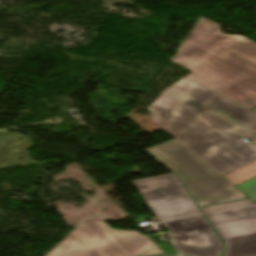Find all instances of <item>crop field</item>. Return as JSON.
I'll list each match as a JSON object with an SVG mask.
<instances>
[{
	"label": "crop field",
	"instance_id": "8a807250",
	"mask_svg": "<svg viewBox=\"0 0 256 256\" xmlns=\"http://www.w3.org/2000/svg\"><path fill=\"white\" fill-rule=\"evenodd\" d=\"M147 109L148 118L221 176L256 159V145L236 137L256 143V114L185 77Z\"/></svg>",
	"mask_w": 256,
	"mask_h": 256
},
{
	"label": "crop field",
	"instance_id": "ac0d7876",
	"mask_svg": "<svg viewBox=\"0 0 256 256\" xmlns=\"http://www.w3.org/2000/svg\"><path fill=\"white\" fill-rule=\"evenodd\" d=\"M171 61L193 71L185 77L249 108L256 107V43L223 35L200 17Z\"/></svg>",
	"mask_w": 256,
	"mask_h": 256
},
{
	"label": "crop field",
	"instance_id": "34b2d1b8",
	"mask_svg": "<svg viewBox=\"0 0 256 256\" xmlns=\"http://www.w3.org/2000/svg\"><path fill=\"white\" fill-rule=\"evenodd\" d=\"M146 151L181 178L198 206L246 197L175 140Z\"/></svg>",
	"mask_w": 256,
	"mask_h": 256
},
{
	"label": "crop field",
	"instance_id": "412701ff",
	"mask_svg": "<svg viewBox=\"0 0 256 256\" xmlns=\"http://www.w3.org/2000/svg\"><path fill=\"white\" fill-rule=\"evenodd\" d=\"M203 209L226 243L223 256H256V203L246 199Z\"/></svg>",
	"mask_w": 256,
	"mask_h": 256
},
{
	"label": "crop field",
	"instance_id": "f4fd0767",
	"mask_svg": "<svg viewBox=\"0 0 256 256\" xmlns=\"http://www.w3.org/2000/svg\"><path fill=\"white\" fill-rule=\"evenodd\" d=\"M133 182L159 221L201 213L173 173Z\"/></svg>",
	"mask_w": 256,
	"mask_h": 256
},
{
	"label": "crop field",
	"instance_id": "dd49c442",
	"mask_svg": "<svg viewBox=\"0 0 256 256\" xmlns=\"http://www.w3.org/2000/svg\"><path fill=\"white\" fill-rule=\"evenodd\" d=\"M105 223V222H104ZM102 221L75 226L102 256H140L164 253L148 235L110 229Z\"/></svg>",
	"mask_w": 256,
	"mask_h": 256
},
{
	"label": "crop field",
	"instance_id": "e52e79f7",
	"mask_svg": "<svg viewBox=\"0 0 256 256\" xmlns=\"http://www.w3.org/2000/svg\"><path fill=\"white\" fill-rule=\"evenodd\" d=\"M169 242L185 256H220L223 244L203 215L163 223Z\"/></svg>",
	"mask_w": 256,
	"mask_h": 256
},
{
	"label": "crop field",
	"instance_id": "d8731c3e",
	"mask_svg": "<svg viewBox=\"0 0 256 256\" xmlns=\"http://www.w3.org/2000/svg\"><path fill=\"white\" fill-rule=\"evenodd\" d=\"M46 256H101L76 230Z\"/></svg>",
	"mask_w": 256,
	"mask_h": 256
},
{
	"label": "crop field",
	"instance_id": "5a996713",
	"mask_svg": "<svg viewBox=\"0 0 256 256\" xmlns=\"http://www.w3.org/2000/svg\"><path fill=\"white\" fill-rule=\"evenodd\" d=\"M256 175V161L224 176L232 184L237 185Z\"/></svg>",
	"mask_w": 256,
	"mask_h": 256
},
{
	"label": "crop field",
	"instance_id": "3316defc",
	"mask_svg": "<svg viewBox=\"0 0 256 256\" xmlns=\"http://www.w3.org/2000/svg\"><path fill=\"white\" fill-rule=\"evenodd\" d=\"M235 187L247 195L253 202H256V176Z\"/></svg>",
	"mask_w": 256,
	"mask_h": 256
},
{
	"label": "crop field",
	"instance_id": "28ad6ade",
	"mask_svg": "<svg viewBox=\"0 0 256 256\" xmlns=\"http://www.w3.org/2000/svg\"><path fill=\"white\" fill-rule=\"evenodd\" d=\"M152 240L165 252V253H171V254H176L168 245H161L160 243H158L157 241H155L153 238L154 237H158V234H153V235H149Z\"/></svg>",
	"mask_w": 256,
	"mask_h": 256
},
{
	"label": "crop field",
	"instance_id": "d1516ede",
	"mask_svg": "<svg viewBox=\"0 0 256 256\" xmlns=\"http://www.w3.org/2000/svg\"><path fill=\"white\" fill-rule=\"evenodd\" d=\"M255 110V109H254ZM256 111V110H255Z\"/></svg>",
	"mask_w": 256,
	"mask_h": 256
}]
</instances>
